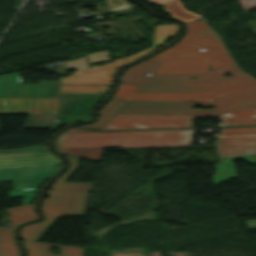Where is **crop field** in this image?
I'll return each mask as SVG.
<instances>
[{
	"label": "crop field",
	"instance_id": "d8731c3e",
	"mask_svg": "<svg viewBox=\"0 0 256 256\" xmlns=\"http://www.w3.org/2000/svg\"><path fill=\"white\" fill-rule=\"evenodd\" d=\"M124 59H116L105 66L76 70L73 75L58 78L61 84H111L114 73L123 66ZM59 85V92L107 93L111 86Z\"/></svg>",
	"mask_w": 256,
	"mask_h": 256
},
{
	"label": "crop field",
	"instance_id": "dafd665d",
	"mask_svg": "<svg viewBox=\"0 0 256 256\" xmlns=\"http://www.w3.org/2000/svg\"><path fill=\"white\" fill-rule=\"evenodd\" d=\"M253 97H256V89L214 98L212 99V103L214 107H217V106H221V105H225V104H229V103H233V102H237V101H241V100H245Z\"/></svg>",
	"mask_w": 256,
	"mask_h": 256
},
{
	"label": "crop field",
	"instance_id": "733c2abd",
	"mask_svg": "<svg viewBox=\"0 0 256 256\" xmlns=\"http://www.w3.org/2000/svg\"><path fill=\"white\" fill-rule=\"evenodd\" d=\"M177 31H178L177 24L157 25L155 28L153 47H149L139 53H136L132 56L125 58L124 65L150 53L151 51L156 49L158 45H163L165 40L168 37H174Z\"/></svg>",
	"mask_w": 256,
	"mask_h": 256
},
{
	"label": "crop field",
	"instance_id": "4a817a6b",
	"mask_svg": "<svg viewBox=\"0 0 256 256\" xmlns=\"http://www.w3.org/2000/svg\"><path fill=\"white\" fill-rule=\"evenodd\" d=\"M219 116L225 126L256 125V106Z\"/></svg>",
	"mask_w": 256,
	"mask_h": 256
},
{
	"label": "crop field",
	"instance_id": "8a807250",
	"mask_svg": "<svg viewBox=\"0 0 256 256\" xmlns=\"http://www.w3.org/2000/svg\"><path fill=\"white\" fill-rule=\"evenodd\" d=\"M194 129L94 132L70 127L54 140V148L64 155L97 161L101 159V148H154L191 145Z\"/></svg>",
	"mask_w": 256,
	"mask_h": 256
},
{
	"label": "crop field",
	"instance_id": "5a996713",
	"mask_svg": "<svg viewBox=\"0 0 256 256\" xmlns=\"http://www.w3.org/2000/svg\"><path fill=\"white\" fill-rule=\"evenodd\" d=\"M210 115L115 114L100 130L192 127V118Z\"/></svg>",
	"mask_w": 256,
	"mask_h": 256
},
{
	"label": "crop field",
	"instance_id": "eef30255",
	"mask_svg": "<svg viewBox=\"0 0 256 256\" xmlns=\"http://www.w3.org/2000/svg\"><path fill=\"white\" fill-rule=\"evenodd\" d=\"M149 2H152V3H155V4H160L164 1H167V0H148Z\"/></svg>",
	"mask_w": 256,
	"mask_h": 256
},
{
	"label": "crop field",
	"instance_id": "e52e79f7",
	"mask_svg": "<svg viewBox=\"0 0 256 256\" xmlns=\"http://www.w3.org/2000/svg\"><path fill=\"white\" fill-rule=\"evenodd\" d=\"M138 87L119 84L114 98L125 100H199L211 101V98L256 88V80H248L201 92L134 93Z\"/></svg>",
	"mask_w": 256,
	"mask_h": 256
},
{
	"label": "crop field",
	"instance_id": "d9b57169",
	"mask_svg": "<svg viewBox=\"0 0 256 256\" xmlns=\"http://www.w3.org/2000/svg\"><path fill=\"white\" fill-rule=\"evenodd\" d=\"M86 58L89 63L87 64ZM110 60L109 51H97L87 56L80 57L68 62L60 63L59 68H53L56 74L66 73L69 69H87L92 63L104 62Z\"/></svg>",
	"mask_w": 256,
	"mask_h": 256
},
{
	"label": "crop field",
	"instance_id": "dd49c442",
	"mask_svg": "<svg viewBox=\"0 0 256 256\" xmlns=\"http://www.w3.org/2000/svg\"><path fill=\"white\" fill-rule=\"evenodd\" d=\"M214 145L221 164H215L213 186L236 177L233 159L256 163V136L217 138Z\"/></svg>",
	"mask_w": 256,
	"mask_h": 256
},
{
	"label": "crop field",
	"instance_id": "730fd06b",
	"mask_svg": "<svg viewBox=\"0 0 256 256\" xmlns=\"http://www.w3.org/2000/svg\"><path fill=\"white\" fill-rule=\"evenodd\" d=\"M35 149H47V146H42V147H30V148H24V149H19V150H9V151H22V150H35ZM0 152H8V151H1Z\"/></svg>",
	"mask_w": 256,
	"mask_h": 256
},
{
	"label": "crop field",
	"instance_id": "34b2d1b8",
	"mask_svg": "<svg viewBox=\"0 0 256 256\" xmlns=\"http://www.w3.org/2000/svg\"><path fill=\"white\" fill-rule=\"evenodd\" d=\"M161 62L146 59L123 72L121 83L140 86L136 92H166V91H201L226 84L252 79L249 74H244L236 64L202 73H176V74H151ZM232 75L230 78L224 74ZM195 76L197 79H186Z\"/></svg>",
	"mask_w": 256,
	"mask_h": 256
},
{
	"label": "crop field",
	"instance_id": "3316defc",
	"mask_svg": "<svg viewBox=\"0 0 256 256\" xmlns=\"http://www.w3.org/2000/svg\"><path fill=\"white\" fill-rule=\"evenodd\" d=\"M105 94H73L59 93L58 105L62 110L58 111V119L53 129L72 122L87 120L90 118L92 108L104 97Z\"/></svg>",
	"mask_w": 256,
	"mask_h": 256
},
{
	"label": "crop field",
	"instance_id": "214f88e0",
	"mask_svg": "<svg viewBox=\"0 0 256 256\" xmlns=\"http://www.w3.org/2000/svg\"><path fill=\"white\" fill-rule=\"evenodd\" d=\"M193 105H212V103L185 101H127L122 107H193Z\"/></svg>",
	"mask_w": 256,
	"mask_h": 256
},
{
	"label": "crop field",
	"instance_id": "5142ce71",
	"mask_svg": "<svg viewBox=\"0 0 256 256\" xmlns=\"http://www.w3.org/2000/svg\"><path fill=\"white\" fill-rule=\"evenodd\" d=\"M24 247L28 252V256H57L49 252L50 246L61 247L59 256H81L82 249L80 247L23 241Z\"/></svg>",
	"mask_w": 256,
	"mask_h": 256
},
{
	"label": "crop field",
	"instance_id": "cbeb9de0",
	"mask_svg": "<svg viewBox=\"0 0 256 256\" xmlns=\"http://www.w3.org/2000/svg\"><path fill=\"white\" fill-rule=\"evenodd\" d=\"M10 215L12 225L10 228L0 229V256H19L11 238L13 227L23 221L35 218L32 212V204L6 209Z\"/></svg>",
	"mask_w": 256,
	"mask_h": 256
},
{
	"label": "crop field",
	"instance_id": "92a150f3",
	"mask_svg": "<svg viewBox=\"0 0 256 256\" xmlns=\"http://www.w3.org/2000/svg\"><path fill=\"white\" fill-rule=\"evenodd\" d=\"M163 6L167 12L172 14V17H176L184 22L192 21L199 17L197 14L185 10L178 0H172Z\"/></svg>",
	"mask_w": 256,
	"mask_h": 256
},
{
	"label": "crop field",
	"instance_id": "d1516ede",
	"mask_svg": "<svg viewBox=\"0 0 256 256\" xmlns=\"http://www.w3.org/2000/svg\"><path fill=\"white\" fill-rule=\"evenodd\" d=\"M63 164L49 149L0 153V168Z\"/></svg>",
	"mask_w": 256,
	"mask_h": 256
},
{
	"label": "crop field",
	"instance_id": "ac0d7876",
	"mask_svg": "<svg viewBox=\"0 0 256 256\" xmlns=\"http://www.w3.org/2000/svg\"><path fill=\"white\" fill-rule=\"evenodd\" d=\"M185 36L174 47L150 58L163 62L154 73L202 72L233 61L203 20L186 23ZM200 48L206 49L199 51Z\"/></svg>",
	"mask_w": 256,
	"mask_h": 256
},
{
	"label": "crop field",
	"instance_id": "4177f3b9",
	"mask_svg": "<svg viewBox=\"0 0 256 256\" xmlns=\"http://www.w3.org/2000/svg\"><path fill=\"white\" fill-rule=\"evenodd\" d=\"M240 4L242 8L245 10L247 8L256 6V0H240Z\"/></svg>",
	"mask_w": 256,
	"mask_h": 256
},
{
	"label": "crop field",
	"instance_id": "a9b5d70f",
	"mask_svg": "<svg viewBox=\"0 0 256 256\" xmlns=\"http://www.w3.org/2000/svg\"><path fill=\"white\" fill-rule=\"evenodd\" d=\"M105 4L109 13L135 8V6L128 4L125 0H105Z\"/></svg>",
	"mask_w": 256,
	"mask_h": 256
},
{
	"label": "crop field",
	"instance_id": "f4fd0767",
	"mask_svg": "<svg viewBox=\"0 0 256 256\" xmlns=\"http://www.w3.org/2000/svg\"><path fill=\"white\" fill-rule=\"evenodd\" d=\"M58 97L0 98V114H29L23 129H50Z\"/></svg>",
	"mask_w": 256,
	"mask_h": 256
},
{
	"label": "crop field",
	"instance_id": "22f410ed",
	"mask_svg": "<svg viewBox=\"0 0 256 256\" xmlns=\"http://www.w3.org/2000/svg\"><path fill=\"white\" fill-rule=\"evenodd\" d=\"M256 105V98L217 107L213 110H194L193 108H120L117 113L151 114H222Z\"/></svg>",
	"mask_w": 256,
	"mask_h": 256
},
{
	"label": "crop field",
	"instance_id": "00972430",
	"mask_svg": "<svg viewBox=\"0 0 256 256\" xmlns=\"http://www.w3.org/2000/svg\"><path fill=\"white\" fill-rule=\"evenodd\" d=\"M256 134V127L222 128L220 136L253 135Z\"/></svg>",
	"mask_w": 256,
	"mask_h": 256
},
{
	"label": "crop field",
	"instance_id": "bc2a9ffb",
	"mask_svg": "<svg viewBox=\"0 0 256 256\" xmlns=\"http://www.w3.org/2000/svg\"><path fill=\"white\" fill-rule=\"evenodd\" d=\"M125 100H119L111 98L99 111V117L96 122L89 124V125H82L79 127L90 128L99 130L103 124L112 116L114 115L117 110L125 103Z\"/></svg>",
	"mask_w": 256,
	"mask_h": 256
},
{
	"label": "crop field",
	"instance_id": "412701ff",
	"mask_svg": "<svg viewBox=\"0 0 256 256\" xmlns=\"http://www.w3.org/2000/svg\"><path fill=\"white\" fill-rule=\"evenodd\" d=\"M66 157L70 161L69 169L52 184L53 190L47 193L50 199L41 204L45 219L43 222L29 224L21 228L22 239L37 241L60 215H83L92 183H64L76 168L78 161L77 157Z\"/></svg>",
	"mask_w": 256,
	"mask_h": 256
},
{
	"label": "crop field",
	"instance_id": "ae1a2a85",
	"mask_svg": "<svg viewBox=\"0 0 256 256\" xmlns=\"http://www.w3.org/2000/svg\"><path fill=\"white\" fill-rule=\"evenodd\" d=\"M254 221H256V220H254ZM245 222H246V221H245ZM249 225H256V223H247V222H246L247 228H256V226H249Z\"/></svg>",
	"mask_w": 256,
	"mask_h": 256
},
{
	"label": "crop field",
	"instance_id": "28ad6ade",
	"mask_svg": "<svg viewBox=\"0 0 256 256\" xmlns=\"http://www.w3.org/2000/svg\"><path fill=\"white\" fill-rule=\"evenodd\" d=\"M56 83L57 81H38ZM58 96V85L20 84L18 72L0 76V97Z\"/></svg>",
	"mask_w": 256,
	"mask_h": 256
}]
</instances>
